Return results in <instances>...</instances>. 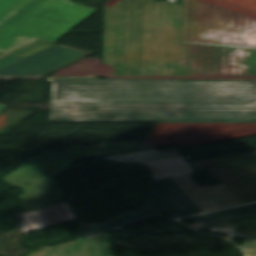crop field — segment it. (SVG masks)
Listing matches in <instances>:
<instances>
[{"instance_id":"8a807250","label":"crop field","mask_w":256,"mask_h":256,"mask_svg":"<svg viewBox=\"0 0 256 256\" xmlns=\"http://www.w3.org/2000/svg\"><path fill=\"white\" fill-rule=\"evenodd\" d=\"M52 102L239 103L237 80H53Z\"/></svg>"},{"instance_id":"ac0d7876","label":"crop field","mask_w":256,"mask_h":256,"mask_svg":"<svg viewBox=\"0 0 256 256\" xmlns=\"http://www.w3.org/2000/svg\"><path fill=\"white\" fill-rule=\"evenodd\" d=\"M51 122L256 123V104L52 103Z\"/></svg>"},{"instance_id":"34b2d1b8","label":"crop field","mask_w":256,"mask_h":256,"mask_svg":"<svg viewBox=\"0 0 256 256\" xmlns=\"http://www.w3.org/2000/svg\"><path fill=\"white\" fill-rule=\"evenodd\" d=\"M31 0H0V24ZM97 9L68 0H35L0 30L55 42ZM35 39L0 31V52H11Z\"/></svg>"},{"instance_id":"412701ff","label":"crop field","mask_w":256,"mask_h":256,"mask_svg":"<svg viewBox=\"0 0 256 256\" xmlns=\"http://www.w3.org/2000/svg\"><path fill=\"white\" fill-rule=\"evenodd\" d=\"M142 142L101 141L100 145L86 147L82 151L68 149L63 153L45 151L4 177L10 186L23 188L24 195H20L18 203L22 212L64 201V193L58 190L55 178L74 167L72 164L85 158H100L115 154L134 152ZM41 178L25 187L27 183L41 176ZM15 176V178H13ZM25 185V186H24ZM41 187V189H39ZM47 199L49 201H44Z\"/></svg>"},{"instance_id":"f4fd0767","label":"crop field","mask_w":256,"mask_h":256,"mask_svg":"<svg viewBox=\"0 0 256 256\" xmlns=\"http://www.w3.org/2000/svg\"><path fill=\"white\" fill-rule=\"evenodd\" d=\"M153 183L155 187L145 208L123 214L99 225L79 223L78 239L111 233L140 220L153 217L156 213L176 218L203 212L171 178L153 181ZM170 191L177 195H168Z\"/></svg>"},{"instance_id":"dd49c442","label":"crop field","mask_w":256,"mask_h":256,"mask_svg":"<svg viewBox=\"0 0 256 256\" xmlns=\"http://www.w3.org/2000/svg\"><path fill=\"white\" fill-rule=\"evenodd\" d=\"M195 171L210 169L242 202L256 200V152L192 162Z\"/></svg>"},{"instance_id":"e52e79f7","label":"crop field","mask_w":256,"mask_h":256,"mask_svg":"<svg viewBox=\"0 0 256 256\" xmlns=\"http://www.w3.org/2000/svg\"><path fill=\"white\" fill-rule=\"evenodd\" d=\"M92 53L54 45L25 59L8 54L0 58V76H45Z\"/></svg>"},{"instance_id":"d8731c3e","label":"crop field","mask_w":256,"mask_h":256,"mask_svg":"<svg viewBox=\"0 0 256 256\" xmlns=\"http://www.w3.org/2000/svg\"><path fill=\"white\" fill-rule=\"evenodd\" d=\"M192 177L188 175L172 179L204 212L241 203L223 184L200 188L191 179Z\"/></svg>"},{"instance_id":"5a996713","label":"crop field","mask_w":256,"mask_h":256,"mask_svg":"<svg viewBox=\"0 0 256 256\" xmlns=\"http://www.w3.org/2000/svg\"><path fill=\"white\" fill-rule=\"evenodd\" d=\"M67 203L22 214V234L75 221Z\"/></svg>"},{"instance_id":"3316defc","label":"crop field","mask_w":256,"mask_h":256,"mask_svg":"<svg viewBox=\"0 0 256 256\" xmlns=\"http://www.w3.org/2000/svg\"><path fill=\"white\" fill-rule=\"evenodd\" d=\"M113 234L82 239L78 245L51 249L52 256H110L108 241Z\"/></svg>"},{"instance_id":"28ad6ade","label":"crop field","mask_w":256,"mask_h":256,"mask_svg":"<svg viewBox=\"0 0 256 256\" xmlns=\"http://www.w3.org/2000/svg\"><path fill=\"white\" fill-rule=\"evenodd\" d=\"M134 165H142L148 167L154 175V180L188 175L195 172L184 158V156L142 162Z\"/></svg>"},{"instance_id":"d1516ede","label":"crop field","mask_w":256,"mask_h":256,"mask_svg":"<svg viewBox=\"0 0 256 256\" xmlns=\"http://www.w3.org/2000/svg\"><path fill=\"white\" fill-rule=\"evenodd\" d=\"M198 225L203 229L221 232L230 237L256 235V216L220 220Z\"/></svg>"},{"instance_id":"22f410ed","label":"crop field","mask_w":256,"mask_h":256,"mask_svg":"<svg viewBox=\"0 0 256 256\" xmlns=\"http://www.w3.org/2000/svg\"><path fill=\"white\" fill-rule=\"evenodd\" d=\"M178 155H182L178 149L164 151V152H158L156 149H153V150L142 151L137 153L110 156V157H105L100 159L131 164V163L142 162V161H147V160H152V159H157L162 157L178 156Z\"/></svg>"},{"instance_id":"cbeb9de0","label":"crop field","mask_w":256,"mask_h":256,"mask_svg":"<svg viewBox=\"0 0 256 256\" xmlns=\"http://www.w3.org/2000/svg\"><path fill=\"white\" fill-rule=\"evenodd\" d=\"M254 213H256V203L229 209V210H225V211L194 216L191 218L195 222H202V221H208V220H214V219H220V218H226V217H233V216H240V215H247V214H254Z\"/></svg>"},{"instance_id":"5142ce71","label":"crop field","mask_w":256,"mask_h":256,"mask_svg":"<svg viewBox=\"0 0 256 256\" xmlns=\"http://www.w3.org/2000/svg\"><path fill=\"white\" fill-rule=\"evenodd\" d=\"M240 103H256V80H238Z\"/></svg>"},{"instance_id":"d9b57169","label":"crop field","mask_w":256,"mask_h":256,"mask_svg":"<svg viewBox=\"0 0 256 256\" xmlns=\"http://www.w3.org/2000/svg\"><path fill=\"white\" fill-rule=\"evenodd\" d=\"M54 44H51V43H47V42H43V41H39V40H36L24 47H21L13 52H11V54H14V55H17L19 57H22V58H25L31 54H34L38 51H41L47 47H50Z\"/></svg>"},{"instance_id":"733c2abd","label":"crop field","mask_w":256,"mask_h":256,"mask_svg":"<svg viewBox=\"0 0 256 256\" xmlns=\"http://www.w3.org/2000/svg\"><path fill=\"white\" fill-rule=\"evenodd\" d=\"M80 240L78 241H75V242H71V243H67V244H78ZM63 245H66V244H63ZM59 246H62V245H59ZM55 247H58V246H55ZM51 248H54V247H51ZM51 248H48V249H44L42 251H38L36 253H32V254H29L28 256H47V255H51V251L50 249Z\"/></svg>"},{"instance_id":"4a817a6b","label":"crop field","mask_w":256,"mask_h":256,"mask_svg":"<svg viewBox=\"0 0 256 256\" xmlns=\"http://www.w3.org/2000/svg\"><path fill=\"white\" fill-rule=\"evenodd\" d=\"M256 247V236L247 237L245 244L243 245V249L247 248H255Z\"/></svg>"},{"instance_id":"bc2a9ffb","label":"crop field","mask_w":256,"mask_h":256,"mask_svg":"<svg viewBox=\"0 0 256 256\" xmlns=\"http://www.w3.org/2000/svg\"><path fill=\"white\" fill-rule=\"evenodd\" d=\"M247 255L249 256H256V248L255 249H247V250H244Z\"/></svg>"},{"instance_id":"214f88e0","label":"crop field","mask_w":256,"mask_h":256,"mask_svg":"<svg viewBox=\"0 0 256 256\" xmlns=\"http://www.w3.org/2000/svg\"><path fill=\"white\" fill-rule=\"evenodd\" d=\"M7 106L1 105L0 104V111H2L3 109H5Z\"/></svg>"},{"instance_id":"92a150f3","label":"crop field","mask_w":256,"mask_h":256,"mask_svg":"<svg viewBox=\"0 0 256 256\" xmlns=\"http://www.w3.org/2000/svg\"><path fill=\"white\" fill-rule=\"evenodd\" d=\"M254 215H256V214H254ZM247 216H250V215H247ZM240 217H242V216H240ZM234 218V217H233Z\"/></svg>"},{"instance_id":"dafd665d","label":"crop field","mask_w":256,"mask_h":256,"mask_svg":"<svg viewBox=\"0 0 256 256\" xmlns=\"http://www.w3.org/2000/svg\"><path fill=\"white\" fill-rule=\"evenodd\" d=\"M3 53H0V55H2Z\"/></svg>"}]
</instances>
